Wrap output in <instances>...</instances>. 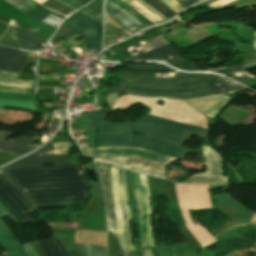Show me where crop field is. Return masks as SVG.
Here are the masks:
<instances>
[{
    "instance_id": "17",
    "label": "crop field",
    "mask_w": 256,
    "mask_h": 256,
    "mask_svg": "<svg viewBox=\"0 0 256 256\" xmlns=\"http://www.w3.org/2000/svg\"><path fill=\"white\" fill-rule=\"evenodd\" d=\"M110 168H111L110 181H111V187H112V191H113L114 209H115V214H116L117 235L120 239L121 246L123 247V249H125L124 226H123V219H122V215H121L119 190H118V186H117L118 168L112 167V166H110Z\"/></svg>"
},
{
    "instance_id": "48",
    "label": "crop field",
    "mask_w": 256,
    "mask_h": 256,
    "mask_svg": "<svg viewBox=\"0 0 256 256\" xmlns=\"http://www.w3.org/2000/svg\"><path fill=\"white\" fill-rule=\"evenodd\" d=\"M24 250L26 251L28 256H36L33 252V250L31 249V247L29 246V244L27 245H23Z\"/></svg>"
},
{
    "instance_id": "9",
    "label": "crop field",
    "mask_w": 256,
    "mask_h": 256,
    "mask_svg": "<svg viewBox=\"0 0 256 256\" xmlns=\"http://www.w3.org/2000/svg\"><path fill=\"white\" fill-rule=\"evenodd\" d=\"M132 147H141L158 153L174 156L180 159L182 158L185 149L165 140L138 134H133Z\"/></svg>"
},
{
    "instance_id": "57",
    "label": "crop field",
    "mask_w": 256,
    "mask_h": 256,
    "mask_svg": "<svg viewBox=\"0 0 256 256\" xmlns=\"http://www.w3.org/2000/svg\"><path fill=\"white\" fill-rule=\"evenodd\" d=\"M94 108H97L96 94H94Z\"/></svg>"
},
{
    "instance_id": "18",
    "label": "crop field",
    "mask_w": 256,
    "mask_h": 256,
    "mask_svg": "<svg viewBox=\"0 0 256 256\" xmlns=\"http://www.w3.org/2000/svg\"><path fill=\"white\" fill-rule=\"evenodd\" d=\"M5 1H7L9 4L14 6L21 12H23L33 18H36L40 21H42L48 13L53 14L58 17H63L62 15H60L58 13H55V12L45 9L44 7H42L40 4H38L34 0H5ZM63 18H65V17H63Z\"/></svg>"
},
{
    "instance_id": "32",
    "label": "crop field",
    "mask_w": 256,
    "mask_h": 256,
    "mask_svg": "<svg viewBox=\"0 0 256 256\" xmlns=\"http://www.w3.org/2000/svg\"><path fill=\"white\" fill-rule=\"evenodd\" d=\"M167 19L176 14L160 0H144Z\"/></svg>"
},
{
    "instance_id": "58",
    "label": "crop field",
    "mask_w": 256,
    "mask_h": 256,
    "mask_svg": "<svg viewBox=\"0 0 256 256\" xmlns=\"http://www.w3.org/2000/svg\"><path fill=\"white\" fill-rule=\"evenodd\" d=\"M214 242H216V241H215V239H214V240H212L210 243H208V244H206V245L202 246V247H204V248H205V247H207V246L211 245V244H212V243H214Z\"/></svg>"
},
{
    "instance_id": "54",
    "label": "crop field",
    "mask_w": 256,
    "mask_h": 256,
    "mask_svg": "<svg viewBox=\"0 0 256 256\" xmlns=\"http://www.w3.org/2000/svg\"><path fill=\"white\" fill-rule=\"evenodd\" d=\"M142 252L143 256H152L149 248L143 249Z\"/></svg>"
},
{
    "instance_id": "24",
    "label": "crop field",
    "mask_w": 256,
    "mask_h": 256,
    "mask_svg": "<svg viewBox=\"0 0 256 256\" xmlns=\"http://www.w3.org/2000/svg\"><path fill=\"white\" fill-rule=\"evenodd\" d=\"M11 35L14 40L21 45L22 49L33 51H36L37 47L46 41L45 39H42L43 37L40 38L16 28Z\"/></svg>"
},
{
    "instance_id": "20",
    "label": "crop field",
    "mask_w": 256,
    "mask_h": 256,
    "mask_svg": "<svg viewBox=\"0 0 256 256\" xmlns=\"http://www.w3.org/2000/svg\"><path fill=\"white\" fill-rule=\"evenodd\" d=\"M118 182H119V190H120V194H121L122 214H123L124 225H125L127 251L135 250L133 243L131 241V234H130L129 205H128L127 193L125 190L124 170L120 169V168H119V173H118Z\"/></svg>"
},
{
    "instance_id": "15",
    "label": "crop field",
    "mask_w": 256,
    "mask_h": 256,
    "mask_svg": "<svg viewBox=\"0 0 256 256\" xmlns=\"http://www.w3.org/2000/svg\"><path fill=\"white\" fill-rule=\"evenodd\" d=\"M26 52L0 46V70L19 72Z\"/></svg>"
},
{
    "instance_id": "43",
    "label": "crop field",
    "mask_w": 256,
    "mask_h": 256,
    "mask_svg": "<svg viewBox=\"0 0 256 256\" xmlns=\"http://www.w3.org/2000/svg\"><path fill=\"white\" fill-rule=\"evenodd\" d=\"M54 150H59V149H66V148H71L73 147V144L71 142H66V143H58V144H52Z\"/></svg>"
},
{
    "instance_id": "3",
    "label": "crop field",
    "mask_w": 256,
    "mask_h": 256,
    "mask_svg": "<svg viewBox=\"0 0 256 256\" xmlns=\"http://www.w3.org/2000/svg\"><path fill=\"white\" fill-rule=\"evenodd\" d=\"M121 84L163 89L207 88L231 81L214 74H176L175 78H155V73H121Z\"/></svg>"
},
{
    "instance_id": "25",
    "label": "crop field",
    "mask_w": 256,
    "mask_h": 256,
    "mask_svg": "<svg viewBox=\"0 0 256 256\" xmlns=\"http://www.w3.org/2000/svg\"><path fill=\"white\" fill-rule=\"evenodd\" d=\"M35 81L0 78V91L30 93Z\"/></svg>"
},
{
    "instance_id": "42",
    "label": "crop field",
    "mask_w": 256,
    "mask_h": 256,
    "mask_svg": "<svg viewBox=\"0 0 256 256\" xmlns=\"http://www.w3.org/2000/svg\"><path fill=\"white\" fill-rule=\"evenodd\" d=\"M95 132H96V129H89L86 132L87 137L90 138V140H91L92 147H94L96 145Z\"/></svg>"
},
{
    "instance_id": "56",
    "label": "crop field",
    "mask_w": 256,
    "mask_h": 256,
    "mask_svg": "<svg viewBox=\"0 0 256 256\" xmlns=\"http://www.w3.org/2000/svg\"><path fill=\"white\" fill-rule=\"evenodd\" d=\"M110 1L113 2L114 4L118 5V6L121 7V8H122V6H123V5H121L120 3H118V2L115 1V0H110Z\"/></svg>"
},
{
    "instance_id": "37",
    "label": "crop field",
    "mask_w": 256,
    "mask_h": 256,
    "mask_svg": "<svg viewBox=\"0 0 256 256\" xmlns=\"http://www.w3.org/2000/svg\"><path fill=\"white\" fill-rule=\"evenodd\" d=\"M72 32H74V31H72L70 28L61 24L59 29L57 30V32L54 34V36L51 39L56 42L59 39L67 36L68 34H70Z\"/></svg>"
},
{
    "instance_id": "6",
    "label": "crop field",
    "mask_w": 256,
    "mask_h": 256,
    "mask_svg": "<svg viewBox=\"0 0 256 256\" xmlns=\"http://www.w3.org/2000/svg\"><path fill=\"white\" fill-rule=\"evenodd\" d=\"M0 201L17 218L21 225L33 222L28 213L35 212L29 201L3 175L0 174Z\"/></svg>"
},
{
    "instance_id": "26",
    "label": "crop field",
    "mask_w": 256,
    "mask_h": 256,
    "mask_svg": "<svg viewBox=\"0 0 256 256\" xmlns=\"http://www.w3.org/2000/svg\"><path fill=\"white\" fill-rule=\"evenodd\" d=\"M139 176H140V182H141L145 211H146V239L150 247L155 245L152 238V226L150 222L151 209H150V201H149V192L147 188L146 176L140 175V174Z\"/></svg>"
},
{
    "instance_id": "40",
    "label": "crop field",
    "mask_w": 256,
    "mask_h": 256,
    "mask_svg": "<svg viewBox=\"0 0 256 256\" xmlns=\"http://www.w3.org/2000/svg\"><path fill=\"white\" fill-rule=\"evenodd\" d=\"M121 8L117 7L113 3H111L108 0H105L104 10L106 13H108L110 16L115 14L116 12L120 11ZM107 14V15H108Z\"/></svg>"
},
{
    "instance_id": "52",
    "label": "crop field",
    "mask_w": 256,
    "mask_h": 256,
    "mask_svg": "<svg viewBox=\"0 0 256 256\" xmlns=\"http://www.w3.org/2000/svg\"><path fill=\"white\" fill-rule=\"evenodd\" d=\"M47 150H52L51 142H49L46 146L42 147L38 151H47Z\"/></svg>"
},
{
    "instance_id": "55",
    "label": "crop field",
    "mask_w": 256,
    "mask_h": 256,
    "mask_svg": "<svg viewBox=\"0 0 256 256\" xmlns=\"http://www.w3.org/2000/svg\"><path fill=\"white\" fill-rule=\"evenodd\" d=\"M158 249L160 251L161 256H168L164 247Z\"/></svg>"
},
{
    "instance_id": "28",
    "label": "crop field",
    "mask_w": 256,
    "mask_h": 256,
    "mask_svg": "<svg viewBox=\"0 0 256 256\" xmlns=\"http://www.w3.org/2000/svg\"><path fill=\"white\" fill-rule=\"evenodd\" d=\"M255 66H256V59L249 62L242 63L237 66H233V67H229V68H225V69H221L213 72L222 73L224 75L226 74L227 76L235 80H240V79L253 77L250 74H247L244 70H249Z\"/></svg>"
},
{
    "instance_id": "51",
    "label": "crop field",
    "mask_w": 256,
    "mask_h": 256,
    "mask_svg": "<svg viewBox=\"0 0 256 256\" xmlns=\"http://www.w3.org/2000/svg\"><path fill=\"white\" fill-rule=\"evenodd\" d=\"M180 5H182L184 8L193 4L192 2H190L189 0H176Z\"/></svg>"
},
{
    "instance_id": "16",
    "label": "crop field",
    "mask_w": 256,
    "mask_h": 256,
    "mask_svg": "<svg viewBox=\"0 0 256 256\" xmlns=\"http://www.w3.org/2000/svg\"><path fill=\"white\" fill-rule=\"evenodd\" d=\"M101 176L103 179V188L105 192V202H106V212H107V224L109 230L115 233V218H114V209H113V201H112V194L110 189V182H109V173L110 169L108 165L101 164L95 162Z\"/></svg>"
},
{
    "instance_id": "39",
    "label": "crop field",
    "mask_w": 256,
    "mask_h": 256,
    "mask_svg": "<svg viewBox=\"0 0 256 256\" xmlns=\"http://www.w3.org/2000/svg\"><path fill=\"white\" fill-rule=\"evenodd\" d=\"M127 49L131 53L132 56L137 55V54H139L143 51L148 50L143 41H141V42H139V43L127 48Z\"/></svg>"
},
{
    "instance_id": "35",
    "label": "crop field",
    "mask_w": 256,
    "mask_h": 256,
    "mask_svg": "<svg viewBox=\"0 0 256 256\" xmlns=\"http://www.w3.org/2000/svg\"><path fill=\"white\" fill-rule=\"evenodd\" d=\"M128 68L132 69H140V70H147V71H168L171 70L169 67L160 65H130Z\"/></svg>"
},
{
    "instance_id": "31",
    "label": "crop field",
    "mask_w": 256,
    "mask_h": 256,
    "mask_svg": "<svg viewBox=\"0 0 256 256\" xmlns=\"http://www.w3.org/2000/svg\"><path fill=\"white\" fill-rule=\"evenodd\" d=\"M112 18L119 24L127 27L130 32L135 31L138 28L142 27V25L137 20H135L132 16H130L123 10L115 14Z\"/></svg>"
},
{
    "instance_id": "21",
    "label": "crop field",
    "mask_w": 256,
    "mask_h": 256,
    "mask_svg": "<svg viewBox=\"0 0 256 256\" xmlns=\"http://www.w3.org/2000/svg\"><path fill=\"white\" fill-rule=\"evenodd\" d=\"M132 182L134 186V193H135V199L137 204V211H138V231H139V240L141 244V248H147L146 239L144 236V210L141 200V192H140V183H139V177L138 174L132 173Z\"/></svg>"
},
{
    "instance_id": "45",
    "label": "crop field",
    "mask_w": 256,
    "mask_h": 256,
    "mask_svg": "<svg viewBox=\"0 0 256 256\" xmlns=\"http://www.w3.org/2000/svg\"><path fill=\"white\" fill-rule=\"evenodd\" d=\"M118 99L117 94H107V103L109 107L113 105V103Z\"/></svg>"
},
{
    "instance_id": "29",
    "label": "crop field",
    "mask_w": 256,
    "mask_h": 256,
    "mask_svg": "<svg viewBox=\"0 0 256 256\" xmlns=\"http://www.w3.org/2000/svg\"><path fill=\"white\" fill-rule=\"evenodd\" d=\"M42 256H68L57 238L35 243Z\"/></svg>"
},
{
    "instance_id": "33",
    "label": "crop field",
    "mask_w": 256,
    "mask_h": 256,
    "mask_svg": "<svg viewBox=\"0 0 256 256\" xmlns=\"http://www.w3.org/2000/svg\"><path fill=\"white\" fill-rule=\"evenodd\" d=\"M42 5H44L45 7L51 9V10H55L63 15H65L66 13H68L70 10H72L71 7L57 1V0H47L45 3H43Z\"/></svg>"
},
{
    "instance_id": "1",
    "label": "crop field",
    "mask_w": 256,
    "mask_h": 256,
    "mask_svg": "<svg viewBox=\"0 0 256 256\" xmlns=\"http://www.w3.org/2000/svg\"><path fill=\"white\" fill-rule=\"evenodd\" d=\"M2 173L35 208L85 206L89 198L90 183L80 164L23 168Z\"/></svg>"
},
{
    "instance_id": "36",
    "label": "crop field",
    "mask_w": 256,
    "mask_h": 256,
    "mask_svg": "<svg viewBox=\"0 0 256 256\" xmlns=\"http://www.w3.org/2000/svg\"><path fill=\"white\" fill-rule=\"evenodd\" d=\"M144 42L148 46L149 50L157 48V47L165 45V44H168L162 39L161 36L151 38L148 40H144Z\"/></svg>"
},
{
    "instance_id": "22",
    "label": "crop field",
    "mask_w": 256,
    "mask_h": 256,
    "mask_svg": "<svg viewBox=\"0 0 256 256\" xmlns=\"http://www.w3.org/2000/svg\"><path fill=\"white\" fill-rule=\"evenodd\" d=\"M139 121L153 123V124H159L162 126H166V127L202 135V136H205L206 131H207L206 129H202L199 127H195V126H191V125H187V124H183V123H179L176 121L163 119V118H159V117L149 116V115L145 116L144 118H142Z\"/></svg>"
},
{
    "instance_id": "7",
    "label": "crop field",
    "mask_w": 256,
    "mask_h": 256,
    "mask_svg": "<svg viewBox=\"0 0 256 256\" xmlns=\"http://www.w3.org/2000/svg\"><path fill=\"white\" fill-rule=\"evenodd\" d=\"M243 87L232 83L228 85H223L219 87H213L201 90H150L142 89L130 86H115L109 88L106 93H133V94H145V95H161L174 98H190V97H200L210 94L223 93L236 89H241Z\"/></svg>"
},
{
    "instance_id": "44",
    "label": "crop field",
    "mask_w": 256,
    "mask_h": 256,
    "mask_svg": "<svg viewBox=\"0 0 256 256\" xmlns=\"http://www.w3.org/2000/svg\"><path fill=\"white\" fill-rule=\"evenodd\" d=\"M78 11H80V12H82V13L88 15L89 17H91V18H93V19H95V20H97V21H98V19H99V16H98L97 14L93 13L92 11H90V10L84 8V7L81 8L80 10H78Z\"/></svg>"
},
{
    "instance_id": "30",
    "label": "crop field",
    "mask_w": 256,
    "mask_h": 256,
    "mask_svg": "<svg viewBox=\"0 0 256 256\" xmlns=\"http://www.w3.org/2000/svg\"><path fill=\"white\" fill-rule=\"evenodd\" d=\"M80 256H108L107 247L89 244H76Z\"/></svg>"
},
{
    "instance_id": "2",
    "label": "crop field",
    "mask_w": 256,
    "mask_h": 256,
    "mask_svg": "<svg viewBox=\"0 0 256 256\" xmlns=\"http://www.w3.org/2000/svg\"><path fill=\"white\" fill-rule=\"evenodd\" d=\"M106 114L87 113L85 119L90 120L89 128H99L100 146H130L131 132L142 133L181 144L186 133L162 126L143 123H107Z\"/></svg>"
},
{
    "instance_id": "5",
    "label": "crop field",
    "mask_w": 256,
    "mask_h": 256,
    "mask_svg": "<svg viewBox=\"0 0 256 256\" xmlns=\"http://www.w3.org/2000/svg\"><path fill=\"white\" fill-rule=\"evenodd\" d=\"M86 154L95 160L110 163L112 165L126 167L130 155L148 158L164 164H170L177 158L158 154L141 148H125V147H101V148H85Z\"/></svg>"
},
{
    "instance_id": "23",
    "label": "crop field",
    "mask_w": 256,
    "mask_h": 256,
    "mask_svg": "<svg viewBox=\"0 0 256 256\" xmlns=\"http://www.w3.org/2000/svg\"><path fill=\"white\" fill-rule=\"evenodd\" d=\"M0 244L9 256H26L21 246L12 237L5 226L0 222Z\"/></svg>"
},
{
    "instance_id": "34",
    "label": "crop field",
    "mask_w": 256,
    "mask_h": 256,
    "mask_svg": "<svg viewBox=\"0 0 256 256\" xmlns=\"http://www.w3.org/2000/svg\"><path fill=\"white\" fill-rule=\"evenodd\" d=\"M0 106L22 108V109H35L32 102L11 101V100H5V99H0Z\"/></svg>"
},
{
    "instance_id": "14",
    "label": "crop field",
    "mask_w": 256,
    "mask_h": 256,
    "mask_svg": "<svg viewBox=\"0 0 256 256\" xmlns=\"http://www.w3.org/2000/svg\"><path fill=\"white\" fill-rule=\"evenodd\" d=\"M127 170L166 179L164 164H160V163L139 158V157H133V156L130 157Z\"/></svg>"
},
{
    "instance_id": "27",
    "label": "crop field",
    "mask_w": 256,
    "mask_h": 256,
    "mask_svg": "<svg viewBox=\"0 0 256 256\" xmlns=\"http://www.w3.org/2000/svg\"><path fill=\"white\" fill-rule=\"evenodd\" d=\"M127 3L132 6L137 12H139L141 15L151 21L153 24L167 20L142 0H131Z\"/></svg>"
},
{
    "instance_id": "50",
    "label": "crop field",
    "mask_w": 256,
    "mask_h": 256,
    "mask_svg": "<svg viewBox=\"0 0 256 256\" xmlns=\"http://www.w3.org/2000/svg\"><path fill=\"white\" fill-rule=\"evenodd\" d=\"M60 1L66 3V4H68V5H70V6H72V7H74L75 9H78V8L82 7V6H80V5L76 4V3H74V2L71 1V0H60Z\"/></svg>"
},
{
    "instance_id": "13",
    "label": "crop field",
    "mask_w": 256,
    "mask_h": 256,
    "mask_svg": "<svg viewBox=\"0 0 256 256\" xmlns=\"http://www.w3.org/2000/svg\"><path fill=\"white\" fill-rule=\"evenodd\" d=\"M38 153L39 152H34L30 154V156L25 157L21 160H18L2 169L6 170V169H12V168H18V167L47 165V164H68L66 154L36 156Z\"/></svg>"
},
{
    "instance_id": "59",
    "label": "crop field",
    "mask_w": 256,
    "mask_h": 256,
    "mask_svg": "<svg viewBox=\"0 0 256 256\" xmlns=\"http://www.w3.org/2000/svg\"><path fill=\"white\" fill-rule=\"evenodd\" d=\"M6 216V214L0 209V218Z\"/></svg>"
},
{
    "instance_id": "47",
    "label": "crop field",
    "mask_w": 256,
    "mask_h": 256,
    "mask_svg": "<svg viewBox=\"0 0 256 256\" xmlns=\"http://www.w3.org/2000/svg\"><path fill=\"white\" fill-rule=\"evenodd\" d=\"M104 26L108 27V28H109L111 31H113L115 34H116L117 32H119L118 29H117L113 24H111L109 21H107L106 19H104Z\"/></svg>"
},
{
    "instance_id": "63",
    "label": "crop field",
    "mask_w": 256,
    "mask_h": 256,
    "mask_svg": "<svg viewBox=\"0 0 256 256\" xmlns=\"http://www.w3.org/2000/svg\"><path fill=\"white\" fill-rule=\"evenodd\" d=\"M124 2L128 1V0H123Z\"/></svg>"
},
{
    "instance_id": "41",
    "label": "crop field",
    "mask_w": 256,
    "mask_h": 256,
    "mask_svg": "<svg viewBox=\"0 0 256 256\" xmlns=\"http://www.w3.org/2000/svg\"><path fill=\"white\" fill-rule=\"evenodd\" d=\"M217 1H219V0H207V1L203 2V4L209 6V5H211V4H213V3L217 2ZM231 1H233V0H222V1H219V2L211 5L210 7L216 9V8H218V7L222 6V5H225V4H227V3L231 2Z\"/></svg>"
},
{
    "instance_id": "61",
    "label": "crop field",
    "mask_w": 256,
    "mask_h": 256,
    "mask_svg": "<svg viewBox=\"0 0 256 256\" xmlns=\"http://www.w3.org/2000/svg\"><path fill=\"white\" fill-rule=\"evenodd\" d=\"M38 2H40L41 4L46 1V0H37Z\"/></svg>"
},
{
    "instance_id": "19",
    "label": "crop field",
    "mask_w": 256,
    "mask_h": 256,
    "mask_svg": "<svg viewBox=\"0 0 256 256\" xmlns=\"http://www.w3.org/2000/svg\"><path fill=\"white\" fill-rule=\"evenodd\" d=\"M183 59L172 44L162 46L129 60H161L165 62L177 61Z\"/></svg>"
},
{
    "instance_id": "12",
    "label": "crop field",
    "mask_w": 256,
    "mask_h": 256,
    "mask_svg": "<svg viewBox=\"0 0 256 256\" xmlns=\"http://www.w3.org/2000/svg\"><path fill=\"white\" fill-rule=\"evenodd\" d=\"M12 133L13 132L0 131V151L23 155L37 147V144H30L37 139V137H20L19 139L12 140L4 139Z\"/></svg>"
},
{
    "instance_id": "4",
    "label": "crop field",
    "mask_w": 256,
    "mask_h": 256,
    "mask_svg": "<svg viewBox=\"0 0 256 256\" xmlns=\"http://www.w3.org/2000/svg\"><path fill=\"white\" fill-rule=\"evenodd\" d=\"M221 186H224V191L228 189V185ZM221 186L175 183L178 203L186 226L201 246L210 241L213 237L199 223L194 225L188 209L212 208L209 198V189Z\"/></svg>"
},
{
    "instance_id": "60",
    "label": "crop field",
    "mask_w": 256,
    "mask_h": 256,
    "mask_svg": "<svg viewBox=\"0 0 256 256\" xmlns=\"http://www.w3.org/2000/svg\"><path fill=\"white\" fill-rule=\"evenodd\" d=\"M254 32V31H253ZM254 35H255V37H256V32H254ZM254 47H255V49H256V39H255V41L253 42V44H252Z\"/></svg>"
},
{
    "instance_id": "62",
    "label": "crop field",
    "mask_w": 256,
    "mask_h": 256,
    "mask_svg": "<svg viewBox=\"0 0 256 256\" xmlns=\"http://www.w3.org/2000/svg\"><path fill=\"white\" fill-rule=\"evenodd\" d=\"M190 1H192L193 3H195V2H197V1H199V0H190Z\"/></svg>"
},
{
    "instance_id": "53",
    "label": "crop field",
    "mask_w": 256,
    "mask_h": 256,
    "mask_svg": "<svg viewBox=\"0 0 256 256\" xmlns=\"http://www.w3.org/2000/svg\"><path fill=\"white\" fill-rule=\"evenodd\" d=\"M73 1L83 6L88 2H90L91 0H73Z\"/></svg>"
},
{
    "instance_id": "49",
    "label": "crop field",
    "mask_w": 256,
    "mask_h": 256,
    "mask_svg": "<svg viewBox=\"0 0 256 256\" xmlns=\"http://www.w3.org/2000/svg\"><path fill=\"white\" fill-rule=\"evenodd\" d=\"M126 12H128L130 15H132L134 18H136L143 26L147 25L145 24L138 16H136L134 13H132L130 10H128L126 7L123 6V8ZM135 19V20H136Z\"/></svg>"
},
{
    "instance_id": "10",
    "label": "crop field",
    "mask_w": 256,
    "mask_h": 256,
    "mask_svg": "<svg viewBox=\"0 0 256 256\" xmlns=\"http://www.w3.org/2000/svg\"><path fill=\"white\" fill-rule=\"evenodd\" d=\"M62 23L71 27L83 37L91 41L94 45L99 47L97 21L83 14L74 13Z\"/></svg>"
},
{
    "instance_id": "46",
    "label": "crop field",
    "mask_w": 256,
    "mask_h": 256,
    "mask_svg": "<svg viewBox=\"0 0 256 256\" xmlns=\"http://www.w3.org/2000/svg\"><path fill=\"white\" fill-rule=\"evenodd\" d=\"M0 76L17 79V77L19 76V73H10V72L0 71Z\"/></svg>"
},
{
    "instance_id": "11",
    "label": "crop field",
    "mask_w": 256,
    "mask_h": 256,
    "mask_svg": "<svg viewBox=\"0 0 256 256\" xmlns=\"http://www.w3.org/2000/svg\"><path fill=\"white\" fill-rule=\"evenodd\" d=\"M224 94L184 100L188 101L195 109L203 112L205 115L212 118L231 99Z\"/></svg>"
},
{
    "instance_id": "38",
    "label": "crop field",
    "mask_w": 256,
    "mask_h": 256,
    "mask_svg": "<svg viewBox=\"0 0 256 256\" xmlns=\"http://www.w3.org/2000/svg\"><path fill=\"white\" fill-rule=\"evenodd\" d=\"M11 26H14V27H17L19 29L25 30V31L30 32L32 34H35L37 36H39L40 33L42 32V30L35 29L31 26H28V25H25L23 23L16 22V21H13Z\"/></svg>"
},
{
    "instance_id": "8",
    "label": "crop field",
    "mask_w": 256,
    "mask_h": 256,
    "mask_svg": "<svg viewBox=\"0 0 256 256\" xmlns=\"http://www.w3.org/2000/svg\"><path fill=\"white\" fill-rule=\"evenodd\" d=\"M202 155L205 157V164L207 165L206 171L201 174L193 175L185 182L210 184L227 182L226 176H220L222 158L210 146H203Z\"/></svg>"
}]
</instances>
